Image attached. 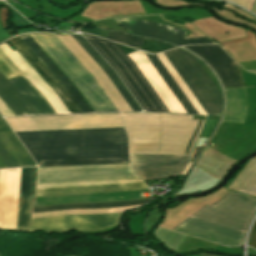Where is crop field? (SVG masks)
<instances>
[{
    "mask_svg": "<svg viewBox=\"0 0 256 256\" xmlns=\"http://www.w3.org/2000/svg\"><path fill=\"white\" fill-rule=\"evenodd\" d=\"M34 160L128 157L124 128L16 132Z\"/></svg>",
    "mask_w": 256,
    "mask_h": 256,
    "instance_id": "1",
    "label": "crop field"
},
{
    "mask_svg": "<svg viewBox=\"0 0 256 256\" xmlns=\"http://www.w3.org/2000/svg\"><path fill=\"white\" fill-rule=\"evenodd\" d=\"M255 213L256 199L229 192L213 205L204 206L192 216L246 231ZM192 216L172 230L229 246L244 244L245 231Z\"/></svg>",
    "mask_w": 256,
    "mask_h": 256,
    "instance_id": "2",
    "label": "crop field"
},
{
    "mask_svg": "<svg viewBox=\"0 0 256 256\" xmlns=\"http://www.w3.org/2000/svg\"><path fill=\"white\" fill-rule=\"evenodd\" d=\"M30 35L76 85L94 112L117 111L94 77L55 35Z\"/></svg>",
    "mask_w": 256,
    "mask_h": 256,
    "instance_id": "3",
    "label": "crop field"
},
{
    "mask_svg": "<svg viewBox=\"0 0 256 256\" xmlns=\"http://www.w3.org/2000/svg\"><path fill=\"white\" fill-rule=\"evenodd\" d=\"M0 98L15 116L56 114L44 96L1 50Z\"/></svg>",
    "mask_w": 256,
    "mask_h": 256,
    "instance_id": "4",
    "label": "crop field"
},
{
    "mask_svg": "<svg viewBox=\"0 0 256 256\" xmlns=\"http://www.w3.org/2000/svg\"><path fill=\"white\" fill-rule=\"evenodd\" d=\"M84 37L116 70L144 110L169 112L136 64L134 65L118 45L89 35Z\"/></svg>",
    "mask_w": 256,
    "mask_h": 256,
    "instance_id": "5",
    "label": "crop field"
},
{
    "mask_svg": "<svg viewBox=\"0 0 256 256\" xmlns=\"http://www.w3.org/2000/svg\"><path fill=\"white\" fill-rule=\"evenodd\" d=\"M207 115L219 116L221 95L195 58L179 49L164 52Z\"/></svg>",
    "mask_w": 256,
    "mask_h": 256,
    "instance_id": "6",
    "label": "crop field"
},
{
    "mask_svg": "<svg viewBox=\"0 0 256 256\" xmlns=\"http://www.w3.org/2000/svg\"><path fill=\"white\" fill-rule=\"evenodd\" d=\"M14 131L124 127L120 113L6 118Z\"/></svg>",
    "mask_w": 256,
    "mask_h": 256,
    "instance_id": "7",
    "label": "crop field"
},
{
    "mask_svg": "<svg viewBox=\"0 0 256 256\" xmlns=\"http://www.w3.org/2000/svg\"><path fill=\"white\" fill-rule=\"evenodd\" d=\"M137 177L130 164L39 168L37 183Z\"/></svg>",
    "mask_w": 256,
    "mask_h": 256,
    "instance_id": "8",
    "label": "crop field"
},
{
    "mask_svg": "<svg viewBox=\"0 0 256 256\" xmlns=\"http://www.w3.org/2000/svg\"><path fill=\"white\" fill-rule=\"evenodd\" d=\"M121 214L122 213L32 219L29 231H47L53 233L70 230L98 231L117 226Z\"/></svg>",
    "mask_w": 256,
    "mask_h": 256,
    "instance_id": "9",
    "label": "crop field"
},
{
    "mask_svg": "<svg viewBox=\"0 0 256 256\" xmlns=\"http://www.w3.org/2000/svg\"><path fill=\"white\" fill-rule=\"evenodd\" d=\"M134 171L143 179L172 177L183 171L190 157L130 154Z\"/></svg>",
    "mask_w": 256,
    "mask_h": 256,
    "instance_id": "10",
    "label": "crop field"
},
{
    "mask_svg": "<svg viewBox=\"0 0 256 256\" xmlns=\"http://www.w3.org/2000/svg\"><path fill=\"white\" fill-rule=\"evenodd\" d=\"M115 20L129 33L172 42L178 46L187 44H214L207 37L187 38V32L169 27L131 18H116Z\"/></svg>",
    "mask_w": 256,
    "mask_h": 256,
    "instance_id": "11",
    "label": "crop field"
},
{
    "mask_svg": "<svg viewBox=\"0 0 256 256\" xmlns=\"http://www.w3.org/2000/svg\"><path fill=\"white\" fill-rule=\"evenodd\" d=\"M202 57L217 73L224 87L245 86L240 68L234 60L217 45L187 46L185 47ZM234 62V63H231ZM236 78L232 72V69Z\"/></svg>",
    "mask_w": 256,
    "mask_h": 256,
    "instance_id": "12",
    "label": "crop field"
},
{
    "mask_svg": "<svg viewBox=\"0 0 256 256\" xmlns=\"http://www.w3.org/2000/svg\"><path fill=\"white\" fill-rule=\"evenodd\" d=\"M128 56L136 64L170 112L186 113L144 53L136 51L128 54Z\"/></svg>",
    "mask_w": 256,
    "mask_h": 256,
    "instance_id": "13",
    "label": "crop field"
},
{
    "mask_svg": "<svg viewBox=\"0 0 256 256\" xmlns=\"http://www.w3.org/2000/svg\"><path fill=\"white\" fill-rule=\"evenodd\" d=\"M15 48L27 59V61L39 72V74L57 92L71 113H82L66 88L59 80L47 69V67L36 57V55L19 38L9 40Z\"/></svg>",
    "mask_w": 256,
    "mask_h": 256,
    "instance_id": "14",
    "label": "crop field"
},
{
    "mask_svg": "<svg viewBox=\"0 0 256 256\" xmlns=\"http://www.w3.org/2000/svg\"><path fill=\"white\" fill-rule=\"evenodd\" d=\"M4 53L15 63V65L27 76V78L45 96L57 114L69 113L55 92L48 84L35 72V70L17 52H13L5 43L0 45ZM34 86V87H35Z\"/></svg>",
    "mask_w": 256,
    "mask_h": 256,
    "instance_id": "15",
    "label": "crop field"
},
{
    "mask_svg": "<svg viewBox=\"0 0 256 256\" xmlns=\"http://www.w3.org/2000/svg\"><path fill=\"white\" fill-rule=\"evenodd\" d=\"M148 189L145 182L116 184V185H96V186H75L37 189L36 197L76 194V193H103L123 190Z\"/></svg>",
    "mask_w": 256,
    "mask_h": 256,
    "instance_id": "16",
    "label": "crop field"
},
{
    "mask_svg": "<svg viewBox=\"0 0 256 256\" xmlns=\"http://www.w3.org/2000/svg\"><path fill=\"white\" fill-rule=\"evenodd\" d=\"M25 44L37 55V57L48 67V69L60 80V82L67 88L83 113L92 112L82 96L79 94L74 85L65 77V75L50 61V59L34 44V42L27 36H19Z\"/></svg>",
    "mask_w": 256,
    "mask_h": 256,
    "instance_id": "17",
    "label": "crop field"
},
{
    "mask_svg": "<svg viewBox=\"0 0 256 256\" xmlns=\"http://www.w3.org/2000/svg\"><path fill=\"white\" fill-rule=\"evenodd\" d=\"M34 167L22 168L17 229L25 230L29 223Z\"/></svg>",
    "mask_w": 256,
    "mask_h": 256,
    "instance_id": "18",
    "label": "crop field"
},
{
    "mask_svg": "<svg viewBox=\"0 0 256 256\" xmlns=\"http://www.w3.org/2000/svg\"><path fill=\"white\" fill-rule=\"evenodd\" d=\"M0 141L8 150L18 166L34 165L14 135L0 118Z\"/></svg>",
    "mask_w": 256,
    "mask_h": 256,
    "instance_id": "19",
    "label": "crop field"
},
{
    "mask_svg": "<svg viewBox=\"0 0 256 256\" xmlns=\"http://www.w3.org/2000/svg\"><path fill=\"white\" fill-rule=\"evenodd\" d=\"M150 62L153 64V66L156 68L158 73L161 75L163 80L166 82V84L169 86L171 91L174 93L176 98L179 100V102L182 104L184 109L187 111V113H194L198 114V112L195 110V108L192 106V104L189 102L187 97L184 95V93L181 91V89L178 87L176 82L173 80V78L170 76V74L167 72L165 67L162 65V63L159 61V59L156 57V55L151 56L148 54H145Z\"/></svg>",
    "mask_w": 256,
    "mask_h": 256,
    "instance_id": "20",
    "label": "crop field"
},
{
    "mask_svg": "<svg viewBox=\"0 0 256 256\" xmlns=\"http://www.w3.org/2000/svg\"><path fill=\"white\" fill-rule=\"evenodd\" d=\"M230 190L256 196V160L252 159L230 186Z\"/></svg>",
    "mask_w": 256,
    "mask_h": 256,
    "instance_id": "21",
    "label": "crop field"
},
{
    "mask_svg": "<svg viewBox=\"0 0 256 256\" xmlns=\"http://www.w3.org/2000/svg\"><path fill=\"white\" fill-rule=\"evenodd\" d=\"M79 44L80 46L97 62V64L107 73V75L110 77L112 82L115 84L117 89L120 91V93L123 95L125 100L128 102L130 107L133 109V111H140V109L137 107V105L134 103V101L131 99L129 94L126 92V90L123 88L121 83L118 81V79L115 77V75L112 73V71L107 67V65L99 58V56L92 50V48L83 40L81 36H72ZM121 95V96H122ZM126 102V103H127Z\"/></svg>",
    "mask_w": 256,
    "mask_h": 256,
    "instance_id": "22",
    "label": "crop field"
},
{
    "mask_svg": "<svg viewBox=\"0 0 256 256\" xmlns=\"http://www.w3.org/2000/svg\"><path fill=\"white\" fill-rule=\"evenodd\" d=\"M148 201H149V199L141 200V201H130V202L63 204V205H55V206L33 208V213L45 212V211H56V210H67V209L121 207V206H128V205L143 204V203H146Z\"/></svg>",
    "mask_w": 256,
    "mask_h": 256,
    "instance_id": "23",
    "label": "crop field"
},
{
    "mask_svg": "<svg viewBox=\"0 0 256 256\" xmlns=\"http://www.w3.org/2000/svg\"><path fill=\"white\" fill-rule=\"evenodd\" d=\"M103 163H130L129 159H88V160H57L41 161L40 167L66 166V165H91Z\"/></svg>",
    "mask_w": 256,
    "mask_h": 256,
    "instance_id": "24",
    "label": "crop field"
},
{
    "mask_svg": "<svg viewBox=\"0 0 256 256\" xmlns=\"http://www.w3.org/2000/svg\"><path fill=\"white\" fill-rule=\"evenodd\" d=\"M106 39L133 47L138 49V47L141 45V43L144 41L143 38H138V37H132V36H127V35H122V34H117L110 32Z\"/></svg>",
    "mask_w": 256,
    "mask_h": 256,
    "instance_id": "25",
    "label": "crop field"
},
{
    "mask_svg": "<svg viewBox=\"0 0 256 256\" xmlns=\"http://www.w3.org/2000/svg\"><path fill=\"white\" fill-rule=\"evenodd\" d=\"M172 48H176V47L168 45L166 43L155 42V41L145 39V41L139 47V50H143L150 53H157V52L165 51Z\"/></svg>",
    "mask_w": 256,
    "mask_h": 256,
    "instance_id": "26",
    "label": "crop field"
},
{
    "mask_svg": "<svg viewBox=\"0 0 256 256\" xmlns=\"http://www.w3.org/2000/svg\"><path fill=\"white\" fill-rule=\"evenodd\" d=\"M0 159L3 161V163L6 165V167H13L17 166V164L14 162V160L11 158L9 153L6 151V149L3 147V145L0 142Z\"/></svg>",
    "mask_w": 256,
    "mask_h": 256,
    "instance_id": "27",
    "label": "crop field"
},
{
    "mask_svg": "<svg viewBox=\"0 0 256 256\" xmlns=\"http://www.w3.org/2000/svg\"><path fill=\"white\" fill-rule=\"evenodd\" d=\"M82 32H88L100 37L105 38L107 36V34L109 33L108 31H104V30H99V29H93V30H88V29H84V28H80L79 29Z\"/></svg>",
    "mask_w": 256,
    "mask_h": 256,
    "instance_id": "28",
    "label": "crop field"
},
{
    "mask_svg": "<svg viewBox=\"0 0 256 256\" xmlns=\"http://www.w3.org/2000/svg\"><path fill=\"white\" fill-rule=\"evenodd\" d=\"M232 1L248 10H251L254 0H228Z\"/></svg>",
    "mask_w": 256,
    "mask_h": 256,
    "instance_id": "29",
    "label": "crop field"
},
{
    "mask_svg": "<svg viewBox=\"0 0 256 256\" xmlns=\"http://www.w3.org/2000/svg\"><path fill=\"white\" fill-rule=\"evenodd\" d=\"M249 246L256 249V224L254 225L253 230L251 232Z\"/></svg>",
    "mask_w": 256,
    "mask_h": 256,
    "instance_id": "30",
    "label": "crop field"
},
{
    "mask_svg": "<svg viewBox=\"0 0 256 256\" xmlns=\"http://www.w3.org/2000/svg\"><path fill=\"white\" fill-rule=\"evenodd\" d=\"M199 123H200V120L198 121V123H197V125H196V127H195V130H194V132H193V134H192V136H191V138H190V141H189V143H188V146H187L186 152H185L186 155H187V152H188V148H189V146H190V144H191V142H192V140H193V138H194V135H195V133H196V130H197V127H198ZM198 128H199V127H198Z\"/></svg>",
    "mask_w": 256,
    "mask_h": 256,
    "instance_id": "31",
    "label": "crop field"
},
{
    "mask_svg": "<svg viewBox=\"0 0 256 256\" xmlns=\"http://www.w3.org/2000/svg\"><path fill=\"white\" fill-rule=\"evenodd\" d=\"M5 167V165L2 163V161L0 160V168Z\"/></svg>",
    "mask_w": 256,
    "mask_h": 256,
    "instance_id": "32",
    "label": "crop field"
},
{
    "mask_svg": "<svg viewBox=\"0 0 256 256\" xmlns=\"http://www.w3.org/2000/svg\"><path fill=\"white\" fill-rule=\"evenodd\" d=\"M252 12L256 13V3H255V6H254Z\"/></svg>",
    "mask_w": 256,
    "mask_h": 256,
    "instance_id": "33",
    "label": "crop field"
},
{
    "mask_svg": "<svg viewBox=\"0 0 256 256\" xmlns=\"http://www.w3.org/2000/svg\"><path fill=\"white\" fill-rule=\"evenodd\" d=\"M199 255H204V256H216V255H209V254H199Z\"/></svg>",
    "mask_w": 256,
    "mask_h": 256,
    "instance_id": "34",
    "label": "crop field"
},
{
    "mask_svg": "<svg viewBox=\"0 0 256 256\" xmlns=\"http://www.w3.org/2000/svg\"><path fill=\"white\" fill-rule=\"evenodd\" d=\"M67 256H69V255H67Z\"/></svg>",
    "mask_w": 256,
    "mask_h": 256,
    "instance_id": "35",
    "label": "crop field"
}]
</instances>
